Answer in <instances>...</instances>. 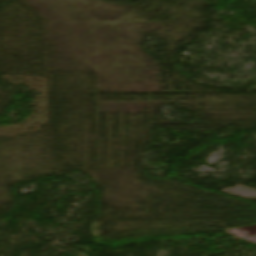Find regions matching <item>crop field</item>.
Returning a JSON list of instances; mask_svg holds the SVG:
<instances>
[{
  "mask_svg": "<svg viewBox=\"0 0 256 256\" xmlns=\"http://www.w3.org/2000/svg\"><path fill=\"white\" fill-rule=\"evenodd\" d=\"M226 234L235 236V237H239V238L256 235V225L229 229V230H227Z\"/></svg>",
  "mask_w": 256,
  "mask_h": 256,
  "instance_id": "8a807250",
  "label": "crop field"
},
{
  "mask_svg": "<svg viewBox=\"0 0 256 256\" xmlns=\"http://www.w3.org/2000/svg\"><path fill=\"white\" fill-rule=\"evenodd\" d=\"M244 240H247L249 242H252V243H256V236L254 237H248V238H243Z\"/></svg>",
  "mask_w": 256,
  "mask_h": 256,
  "instance_id": "ac0d7876",
  "label": "crop field"
}]
</instances>
